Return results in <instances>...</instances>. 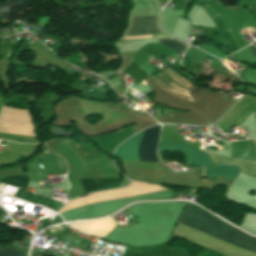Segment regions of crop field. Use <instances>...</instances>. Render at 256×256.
<instances>
[{
    "mask_svg": "<svg viewBox=\"0 0 256 256\" xmlns=\"http://www.w3.org/2000/svg\"><path fill=\"white\" fill-rule=\"evenodd\" d=\"M160 126L151 127L142 131L126 143H124L120 148H118L115 156L120 159L136 160L137 143H138V153L137 160L156 162L158 158L156 156V146L158 141Z\"/></svg>",
    "mask_w": 256,
    "mask_h": 256,
    "instance_id": "crop-field-2",
    "label": "crop field"
},
{
    "mask_svg": "<svg viewBox=\"0 0 256 256\" xmlns=\"http://www.w3.org/2000/svg\"><path fill=\"white\" fill-rule=\"evenodd\" d=\"M18 198L24 199L26 201L32 202L34 204L38 203L40 205L46 206L48 208L54 209V210H58L62 204L55 202L53 200H50L48 198H43V197H38L32 194H21L19 196H17Z\"/></svg>",
    "mask_w": 256,
    "mask_h": 256,
    "instance_id": "crop-field-10",
    "label": "crop field"
},
{
    "mask_svg": "<svg viewBox=\"0 0 256 256\" xmlns=\"http://www.w3.org/2000/svg\"><path fill=\"white\" fill-rule=\"evenodd\" d=\"M182 1H186V0H182Z\"/></svg>",
    "mask_w": 256,
    "mask_h": 256,
    "instance_id": "crop-field-17",
    "label": "crop field"
},
{
    "mask_svg": "<svg viewBox=\"0 0 256 256\" xmlns=\"http://www.w3.org/2000/svg\"><path fill=\"white\" fill-rule=\"evenodd\" d=\"M0 182L20 187L17 193L15 194L16 196L24 192L29 183V178L26 176H10L8 178L0 179Z\"/></svg>",
    "mask_w": 256,
    "mask_h": 256,
    "instance_id": "crop-field-11",
    "label": "crop field"
},
{
    "mask_svg": "<svg viewBox=\"0 0 256 256\" xmlns=\"http://www.w3.org/2000/svg\"><path fill=\"white\" fill-rule=\"evenodd\" d=\"M160 42L182 54H184V52L186 51V49L188 48L189 45L178 41L176 39H159Z\"/></svg>",
    "mask_w": 256,
    "mask_h": 256,
    "instance_id": "crop-field-12",
    "label": "crop field"
},
{
    "mask_svg": "<svg viewBox=\"0 0 256 256\" xmlns=\"http://www.w3.org/2000/svg\"><path fill=\"white\" fill-rule=\"evenodd\" d=\"M22 252L12 248L0 247V256H22Z\"/></svg>",
    "mask_w": 256,
    "mask_h": 256,
    "instance_id": "crop-field-13",
    "label": "crop field"
},
{
    "mask_svg": "<svg viewBox=\"0 0 256 256\" xmlns=\"http://www.w3.org/2000/svg\"><path fill=\"white\" fill-rule=\"evenodd\" d=\"M116 223L112 219H101L94 221L79 222L70 226L89 235H96L103 238L107 235Z\"/></svg>",
    "mask_w": 256,
    "mask_h": 256,
    "instance_id": "crop-field-6",
    "label": "crop field"
},
{
    "mask_svg": "<svg viewBox=\"0 0 256 256\" xmlns=\"http://www.w3.org/2000/svg\"><path fill=\"white\" fill-rule=\"evenodd\" d=\"M239 171V168L233 165L204 167V175L222 176L233 180L238 175Z\"/></svg>",
    "mask_w": 256,
    "mask_h": 256,
    "instance_id": "crop-field-9",
    "label": "crop field"
},
{
    "mask_svg": "<svg viewBox=\"0 0 256 256\" xmlns=\"http://www.w3.org/2000/svg\"><path fill=\"white\" fill-rule=\"evenodd\" d=\"M178 222L241 249L256 253V238L232 228L193 205L188 204Z\"/></svg>",
    "mask_w": 256,
    "mask_h": 256,
    "instance_id": "crop-field-1",
    "label": "crop field"
},
{
    "mask_svg": "<svg viewBox=\"0 0 256 256\" xmlns=\"http://www.w3.org/2000/svg\"><path fill=\"white\" fill-rule=\"evenodd\" d=\"M254 51V55H255V58H256V49L255 50H253Z\"/></svg>",
    "mask_w": 256,
    "mask_h": 256,
    "instance_id": "crop-field-16",
    "label": "crop field"
},
{
    "mask_svg": "<svg viewBox=\"0 0 256 256\" xmlns=\"http://www.w3.org/2000/svg\"><path fill=\"white\" fill-rule=\"evenodd\" d=\"M162 33L158 26V15L130 18V27L124 36ZM166 37V36H160ZM137 36L123 37V39H136Z\"/></svg>",
    "mask_w": 256,
    "mask_h": 256,
    "instance_id": "crop-field-4",
    "label": "crop field"
},
{
    "mask_svg": "<svg viewBox=\"0 0 256 256\" xmlns=\"http://www.w3.org/2000/svg\"><path fill=\"white\" fill-rule=\"evenodd\" d=\"M158 1H160V2H167L168 0H158Z\"/></svg>",
    "mask_w": 256,
    "mask_h": 256,
    "instance_id": "crop-field-15",
    "label": "crop field"
},
{
    "mask_svg": "<svg viewBox=\"0 0 256 256\" xmlns=\"http://www.w3.org/2000/svg\"><path fill=\"white\" fill-rule=\"evenodd\" d=\"M165 150H181L187 154L186 161L192 162L199 166H210L213 165V162L209 154L194 149L186 144H175V143H165L161 142V151Z\"/></svg>",
    "mask_w": 256,
    "mask_h": 256,
    "instance_id": "crop-field-5",
    "label": "crop field"
},
{
    "mask_svg": "<svg viewBox=\"0 0 256 256\" xmlns=\"http://www.w3.org/2000/svg\"><path fill=\"white\" fill-rule=\"evenodd\" d=\"M232 158L255 160V149L252 141L232 142Z\"/></svg>",
    "mask_w": 256,
    "mask_h": 256,
    "instance_id": "crop-field-8",
    "label": "crop field"
},
{
    "mask_svg": "<svg viewBox=\"0 0 256 256\" xmlns=\"http://www.w3.org/2000/svg\"><path fill=\"white\" fill-rule=\"evenodd\" d=\"M5 214H6V212L3 211V210L0 208V216H1V215H5ZM0 221H1V217H0Z\"/></svg>",
    "mask_w": 256,
    "mask_h": 256,
    "instance_id": "crop-field-14",
    "label": "crop field"
},
{
    "mask_svg": "<svg viewBox=\"0 0 256 256\" xmlns=\"http://www.w3.org/2000/svg\"><path fill=\"white\" fill-rule=\"evenodd\" d=\"M85 193L119 187V179H80Z\"/></svg>",
    "mask_w": 256,
    "mask_h": 256,
    "instance_id": "crop-field-7",
    "label": "crop field"
},
{
    "mask_svg": "<svg viewBox=\"0 0 256 256\" xmlns=\"http://www.w3.org/2000/svg\"><path fill=\"white\" fill-rule=\"evenodd\" d=\"M34 129L28 110L4 106L0 114V132L37 136Z\"/></svg>",
    "mask_w": 256,
    "mask_h": 256,
    "instance_id": "crop-field-3",
    "label": "crop field"
}]
</instances>
